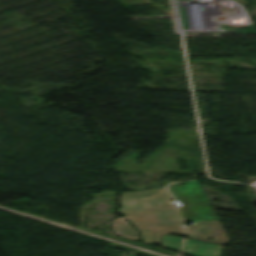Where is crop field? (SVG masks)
I'll use <instances>...</instances> for the list:
<instances>
[{"label":"crop field","instance_id":"obj_5","mask_svg":"<svg viewBox=\"0 0 256 256\" xmlns=\"http://www.w3.org/2000/svg\"><path fill=\"white\" fill-rule=\"evenodd\" d=\"M128 255H129V256H136V254H131V253H129Z\"/></svg>","mask_w":256,"mask_h":256},{"label":"crop field","instance_id":"obj_2","mask_svg":"<svg viewBox=\"0 0 256 256\" xmlns=\"http://www.w3.org/2000/svg\"><path fill=\"white\" fill-rule=\"evenodd\" d=\"M185 236L211 243L224 244L229 241L218 220L197 221L185 226Z\"/></svg>","mask_w":256,"mask_h":256},{"label":"crop field","instance_id":"obj_4","mask_svg":"<svg viewBox=\"0 0 256 256\" xmlns=\"http://www.w3.org/2000/svg\"><path fill=\"white\" fill-rule=\"evenodd\" d=\"M180 245H181L180 238H177L174 236H168V235L162 236L161 246L179 252Z\"/></svg>","mask_w":256,"mask_h":256},{"label":"crop field","instance_id":"obj_1","mask_svg":"<svg viewBox=\"0 0 256 256\" xmlns=\"http://www.w3.org/2000/svg\"><path fill=\"white\" fill-rule=\"evenodd\" d=\"M171 195L166 189L121 193L118 213L140 231L144 243H160L161 234H182L183 224ZM120 237L136 240L135 230L123 217L111 221ZM141 238V239H142Z\"/></svg>","mask_w":256,"mask_h":256},{"label":"crop field","instance_id":"obj_3","mask_svg":"<svg viewBox=\"0 0 256 256\" xmlns=\"http://www.w3.org/2000/svg\"><path fill=\"white\" fill-rule=\"evenodd\" d=\"M194 246H198V248H194ZM193 250L197 252L195 253ZM221 250V245L185 239L182 252L190 256H220Z\"/></svg>","mask_w":256,"mask_h":256}]
</instances>
